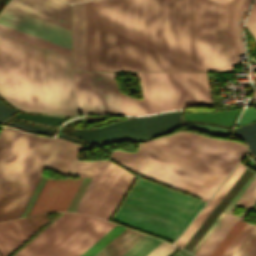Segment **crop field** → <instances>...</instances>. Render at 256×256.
<instances>
[{"label":"crop field","mask_w":256,"mask_h":256,"mask_svg":"<svg viewBox=\"0 0 256 256\" xmlns=\"http://www.w3.org/2000/svg\"><path fill=\"white\" fill-rule=\"evenodd\" d=\"M100 71H144L142 0H98Z\"/></svg>","instance_id":"crop-field-6"},{"label":"crop field","mask_w":256,"mask_h":256,"mask_svg":"<svg viewBox=\"0 0 256 256\" xmlns=\"http://www.w3.org/2000/svg\"><path fill=\"white\" fill-rule=\"evenodd\" d=\"M245 28L250 32V34L256 40V2L246 19Z\"/></svg>","instance_id":"crop-field-28"},{"label":"crop field","mask_w":256,"mask_h":256,"mask_svg":"<svg viewBox=\"0 0 256 256\" xmlns=\"http://www.w3.org/2000/svg\"><path fill=\"white\" fill-rule=\"evenodd\" d=\"M2 130L13 132L21 136L19 138V135L4 131H1L0 133V172L19 138L2 172L0 173V197L32 138L49 141L58 140L67 145L75 146L77 149L58 141L49 142L32 139L27 151L25 152L20 164L18 165L13 177L11 178L0 199V217L22 213L34 187L40 179L47 164L69 172L75 149L76 153L70 173L49 165H47L46 168L63 175L99 177V175L110 162L109 160L94 162L76 161L80 145L67 140L60 138L50 139L45 137L32 136L6 127H2ZM19 217L20 215L2 217L0 218V221L16 219Z\"/></svg>","instance_id":"crop-field-3"},{"label":"crop field","mask_w":256,"mask_h":256,"mask_svg":"<svg viewBox=\"0 0 256 256\" xmlns=\"http://www.w3.org/2000/svg\"><path fill=\"white\" fill-rule=\"evenodd\" d=\"M245 151L238 142L181 131L141 143L136 153L114 151L110 159L207 201Z\"/></svg>","instance_id":"crop-field-1"},{"label":"crop field","mask_w":256,"mask_h":256,"mask_svg":"<svg viewBox=\"0 0 256 256\" xmlns=\"http://www.w3.org/2000/svg\"><path fill=\"white\" fill-rule=\"evenodd\" d=\"M34 232L25 218L0 222V254L8 255Z\"/></svg>","instance_id":"crop-field-20"},{"label":"crop field","mask_w":256,"mask_h":256,"mask_svg":"<svg viewBox=\"0 0 256 256\" xmlns=\"http://www.w3.org/2000/svg\"><path fill=\"white\" fill-rule=\"evenodd\" d=\"M7 7L70 29V5L59 0H11Z\"/></svg>","instance_id":"crop-field-16"},{"label":"crop field","mask_w":256,"mask_h":256,"mask_svg":"<svg viewBox=\"0 0 256 256\" xmlns=\"http://www.w3.org/2000/svg\"><path fill=\"white\" fill-rule=\"evenodd\" d=\"M80 180L81 178L47 179L29 216L49 211H65Z\"/></svg>","instance_id":"crop-field-14"},{"label":"crop field","mask_w":256,"mask_h":256,"mask_svg":"<svg viewBox=\"0 0 256 256\" xmlns=\"http://www.w3.org/2000/svg\"><path fill=\"white\" fill-rule=\"evenodd\" d=\"M137 74L143 100L120 93L124 114L143 115L192 105H212L206 73Z\"/></svg>","instance_id":"crop-field-7"},{"label":"crop field","mask_w":256,"mask_h":256,"mask_svg":"<svg viewBox=\"0 0 256 256\" xmlns=\"http://www.w3.org/2000/svg\"><path fill=\"white\" fill-rule=\"evenodd\" d=\"M0 24L26 32L71 49L70 30L5 7Z\"/></svg>","instance_id":"crop-field-13"},{"label":"crop field","mask_w":256,"mask_h":256,"mask_svg":"<svg viewBox=\"0 0 256 256\" xmlns=\"http://www.w3.org/2000/svg\"><path fill=\"white\" fill-rule=\"evenodd\" d=\"M253 227L254 225L247 223L222 256H231L245 237L249 234V232L253 229Z\"/></svg>","instance_id":"crop-field-27"},{"label":"crop field","mask_w":256,"mask_h":256,"mask_svg":"<svg viewBox=\"0 0 256 256\" xmlns=\"http://www.w3.org/2000/svg\"><path fill=\"white\" fill-rule=\"evenodd\" d=\"M204 203L138 178L112 219L175 241Z\"/></svg>","instance_id":"crop-field-5"},{"label":"crop field","mask_w":256,"mask_h":256,"mask_svg":"<svg viewBox=\"0 0 256 256\" xmlns=\"http://www.w3.org/2000/svg\"><path fill=\"white\" fill-rule=\"evenodd\" d=\"M82 113H121L114 72H73Z\"/></svg>","instance_id":"crop-field-9"},{"label":"crop field","mask_w":256,"mask_h":256,"mask_svg":"<svg viewBox=\"0 0 256 256\" xmlns=\"http://www.w3.org/2000/svg\"><path fill=\"white\" fill-rule=\"evenodd\" d=\"M124 229L125 227L116 225L81 256H94L99 250H101L107 243H109Z\"/></svg>","instance_id":"crop-field-24"},{"label":"crop field","mask_w":256,"mask_h":256,"mask_svg":"<svg viewBox=\"0 0 256 256\" xmlns=\"http://www.w3.org/2000/svg\"><path fill=\"white\" fill-rule=\"evenodd\" d=\"M96 180H97V178H91V180H90V182H89V184H88V186H87V188H86V190H85V192H84V194H83L75 212H77V213L81 212V210H82V208H83V206H84V204H85V202H86V200H87V198H88Z\"/></svg>","instance_id":"crop-field-30"},{"label":"crop field","mask_w":256,"mask_h":256,"mask_svg":"<svg viewBox=\"0 0 256 256\" xmlns=\"http://www.w3.org/2000/svg\"><path fill=\"white\" fill-rule=\"evenodd\" d=\"M251 0H193L195 71H233L244 53L240 22Z\"/></svg>","instance_id":"crop-field-4"},{"label":"crop field","mask_w":256,"mask_h":256,"mask_svg":"<svg viewBox=\"0 0 256 256\" xmlns=\"http://www.w3.org/2000/svg\"><path fill=\"white\" fill-rule=\"evenodd\" d=\"M175 71H194L192 0H173Z\"/></svg>","instance_id":"crop-field-12"},{"label":"crop field","mask_w":256,"mask_h":256,"mask_svg":"<svg viewBox=\"0 0 256 256\" xmlns=\"http://www.w3.org/2000/svg\"><path fill=\"white\" fill-rule=\"evenodd\" d=\"M0 30L5 31V32H8V33H11V34H14V35H16V36H19V37H22V38L31 40V41H33V42H36V43L45 45V46H47V47H50V48H53V49H56V50H59V51H62V52H64V53H67V54H70V55H71V50H70V49H67V48H65V47H62V46L53 44V43H51V42H48V41L39 39V38H37V37L28 35V34H26V33H23V32L17 31V30H14V29H12V28H9V27L0 25Z\"/></svg>","instance_id":"crop-field-25"},{"label":"crop field","mask_w":256,"mask_h":256,"mask_svg":"<svg viewBox=\"0 0 256 256\" xmlns=\"http://www.w3.org/2000/svg\"><path fill=\"white\" fill-rule=\"evenodd\" d=\"M87 71H99L97 0L85 2Z\"/></svg>","instance_id":"crop-field-21"},{"label":"crop field","mask_w":256,"mask_h":256,"mask_svg":"<svg viewBox=\"0 0 256 256\" xmlns=\"http://www.w3.org/2000/svg\"><path fill=\"white\" fill-rule=\"evenodd\" d=\"M180 251V250H179ZM178 251V252H179ZM174 256V255H173ZM175 256H192L191 254L181 250L179 253H177Z\"/></svg>","instance_id":"crop-field-31"},{"label":"crop field","mask_w":256,"mask_h":256,"mask_svg":"<svg viewBox=\"0 0 256 256\" xmlns=\"http://www.w3.org/2000/svg\"><path fill=\"white\" fill-rule=\"evenodd\" d=\"M145 71H165L163 0H143Z\"/></svg>","instance_id":"crop-field-11"},{"label":"crop field","mask_w":256,"mask_h":256,"mask_svg":"<svg viewBox=\"0 0 256 256\" xmlns=\"http://www.w3.org/2000/svg\"><path fill=\"white\" fill-rule=\"evenodd\" d=\"M255 202L256 177L241 194V196L237 199L234 205L230 208V210L226 213V215L222 218V220L218 223V225L215 227V229L211 232V234L207 237V239L203 242V244L194 255L209 256L210 253L219 244V242L223 239V237L227 234V232L236 223V221L238 219L242 220ZM236 205H241L246 208L240 217L231 214L232 210L235 208Z\"/></svg>","instance_id":"crop-field-15"},{"label":"crop field","mask_w":256,"mask_h":256,"mask_svg":"<svg viewBox=\"0 0 256 256\" xmlns=\"http://www.w3.org/2000/svg\"><path fill=\"white\" fill-rule=\"evenodd\" d=\"M176 247L170 246L166 243H162L155 250H153L148 256H166Z\"/></svg>","instance_id":"crop-field-29"},{"label":"crop field","mask_w":256,"mask_h":256,"mask_svg":"<svg viewBox=\"0 0 256 256\" xmlns=\"http://www.w3.org/2000/svg\"><path fill=\"white\" fill-rule=\"evenodd\" d=\"M114 226L97 217L64 213L14 256H80Z\"/></svg>","instance_id":"crop-field-8"},{"label":"crop field","mask_w":256,"mask_h":256,"mask_svg":"<svg viewBox=\"0 0 256 256\" xmlns=\"http://www.w3.org/2000/svg\"><path fill=\"white\" fill-rule=\"evenodd\" d=\"M73 70L86 71L84 2L72 4Z\"/></svg>","instance_id":"crop-field-19"},{"label":"crop field","mask_w":256,"mask_h":256,"mask_svg":"<svg viewBox=\"0 0 256 256\" xmlns=\"http://www.w3.org/2000/svg\"><path fill=\"white\" fill-rule=\"evenodd\" d=\"M0 95L27 112L81 114L71 56L2 31Z\"/></svg>","instance_id":"crop-field-2"},{"label":"crop field","mask_w":256,"mask_h":256,"mask_svg":"<svg viewBox=\"0 0 256 256\" xmlns=\"http://www.w3.org/2000/svg\"><path fill=\"white\" fill-rule=\"evenodd\" d=\"M232 256H256V227Z\"/></svg>","instance_id":"crop-field-26"},{"label":"crop field","mask_w":256,"mask_h":256,"mask_svg":"<svg viewBox=\"0 0 256 256\" xmlns=\"http://www.w3.org/2000/svg\"><path fill=\"white\" fill-rule=\"evenodd\" d=\"M245 224H246V222L238 220L237 223L228 232V234L224 237V239L220 242V244L216 247V249L211 253L210 256H221L222 253L229 246V244L233 241V239L237 236V234L245 226Z\"/></svg>","instance_id":"crop-field-23"},{"label":"crop field","mask_w":256,"mask_h":256,"mask_svg":"<svg viewBox=\"0 0 256 256\" xmlns=\"http://www.w3.org/2000/svg\"><path fill=\"white\" fill-rule=\"evenodd\" d=\"M134 177L110 162L99 177L82 213L108 220Z\"/></svg>","instance_id":"crop-field-10"},{"label":"crop field","mask_w":256,"mask_h":256,"mask_svg":"<svg viewBox=\"0 0 256 256\" xmlns=\"http://www.w3.org/2000/svg\"><path fill=\"white\" fill-rule=\"evenodd\" d=\"M166 70H174L172 0H164Z\"/></svg>","instance_id":"crop-field-22"},{"label":"crop field","mask_w":256,"mask_h":256,"mask_svg":"<svg viewBox=\"0 0 256 256\" xmlns=\"http://www.w3.org/2000/svg\"><path fill=\"white\" fill-rule=\"evenodd\" d=\"M64 1H67V2H75V1H81V0H64Z\"/></svg>","instance_id":"crop-field-32"},{"label":"crop field","mask_w":256,"mask_h":256,"mask_svg":"<svg viewBox=\"0 0 256 256\" xmlns=\"http://www.w3.org/2000/svg\"><path fill=\"white\" fill-rule=\"evenodd\" d=\"M143 234L126 228L95 256H119ZM162 241L144 235L120 256H146Z\"/></svg>","instance_id":"crop-field-17"},{"label":"crop field","mask_w":256,"mask_h":256,"mask_svg":"<svg viewBox=\"0 0 256 256\" xmlns=\"http://www.w3.org/2000/svg\"><path fill=\"white\" fill-rule=\"evenodd\" d=\"M245 168L246 167H244L242 164H238V166L233 170L225 182L220 186L216 193L211 197L203 209L198 213L194 220L177 239L174 245L180 248L183 247V245L187 242V240L191 237V235L195 232V230L199 227V225L203 222L211 210L216 206V204L220 201V199L224 196V194L228 191V189L232 186V184L236 181V179L240 176Z\"/></svg>","instance_id":"crop-field-18"}]
</instances>
